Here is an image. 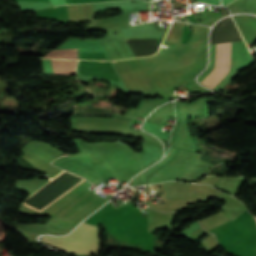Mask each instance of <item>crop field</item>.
<instances>
[{"instance_id":"crop-field-1","label":"crop field","mask_w":256,"mask_h":256,"mask_svg":"<svg viewBox=\"0 0 256 256\" xmlns=\"http://www.w3.org/2000/svg\"><path fill=\"white\" fill-rule=\"evenodd\" d=\"M66 237H41V240L53 247L73 253L90 255L99 252L98 227L82 222Z\"/></svg>"},{"instance_id":"crop-field-2","label":"crop field","mask_w":256,"mask_h":256,"mask_svg":"<svg viewBox=\"0 0 256 256\" xmlns=\"http://www.w3.org/2000/svg\"><path fill=\"white\" fill-rule=\"evenodd\" d=\"M230 42L216 44L215 66L210 73L200 82L208 87H213L226 74L229 67Z\"/></svg>"},{"instance_id":"crop-field-3","label":"crop field","mask_w":256,"mask_h":256,"mask_svg":"<svg viewBox=\"0 0 256 256\" xmlns=\"http://www.w3.org/2000/svg\"><path fill=\"white\" fill-rule=\"evenodd\" d=\"M77 60H52L55 73L75 74Z\"/></svg>"},{"instance_id":"crop-field-4","label":"crop field","mask_w":256,"mask_h":256,"mask_svg":"<svg viewBox=\"0 0 256 256\" xmlns=\"http://www.w3.org/2000/svg\"><path fill=\"white\" fill-rule=\"evenodd\" d=\"M43 58L77 59V54H76V49L54 50L49 52Z\"/></svg>"},{"instance_id":"crop-field-5","label":"crop field","mask_w":256,"mask_h":256,"mask_svg":"<svg viewBox=\"0 0 256 256\" xmlns=\"http://www.w3.org/2000/svg\"><path fill=\"white\" fill-rule=\"evenodd\" d=\"M253 218H254V220H255V222H256V217L253 216Z\"/></svg>"}]
</instances>
